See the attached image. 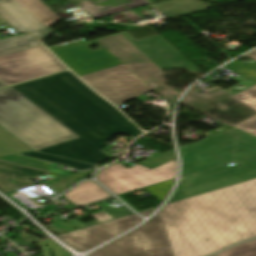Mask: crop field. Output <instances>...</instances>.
I'll list each match as a JSON object with an SVG mask.
<instances>
[{
	"instance_id": "1",
	"label": "crop field",
	"mask_w": 256,
	"mask_h": 256,
	"mask_svg": "<svg viewBox=\"0 0 256 256\" xmlns=\"http://www.w3.org/2000/svg\"><path fill=\"white\" fill-rule=\"evenodd\" d=\"M256 237V179L165 205L88 256H205Z\"/></svg>"
},
{
	"instance_id": "2",
	"label": "crop field",
	"mask_w": 256,
	"mask_h": 256,
	"mask_svg": "<svg viewBox=\"0 0 256 256\" xmlns=\"http://www.w3.org/2000/svg\"><path fill=\"white\" fill-rule=\"evenodd\" d=\"M16 91L79 136L37 151L99 164L110 158L100 149L117 133L141 131L69 71L12 86Z\"/></svg>"
},
{
	"instance_id": "3",
	"label": "crop field",
	"mask_w": 256,
	"mask_h": 256,
	"mask_svg": "<svg viewBox=\"0 0 256 256\" xmlns=\"http://www.w3.org/2000/svg\"><path fill=\"white\" fill-rule=\"evenodd\" d=\"M0 126L34 150L78 137L11 87L0 90Z\"/></svg>"
},
{
	"instance_id": "4",
	"label": "crop field",
	"mask_w": 256,
	"mask_h": 256,
	"mask_svg": "<svg viewBox=\"0 0 256 256\" xmlns=\"http://www.w3.org/2000/svg\"><path fill=\"white\" fill-rule=\"evenodd\" d=\"M179 150L185 175L256 154V137L231 127Z\"/></svg>"
},
{
	"instance_id": "5",
	"label": "crop field",
	"mask_w": 256,
	"mask_h": 256,
	"mask_svg": "<svg viewBox=\"0 0 256 256\" xmlns=\"http://www.w3.org/2000/svg\"><path fill=\"white\" fill-rule=\"evenodd\" d=\"M239 165H226L189 175L179 181L168 203L188 198L207 191L256 178V155L237 160Z\"/></svg>"
},
{
	"instance_id": "6",
	"label": "crop field",
	"mask_w": 256,
	"mask_h": 256,
	"mask_svg": "<svg viewBox=\"0 0 256 256\" xmlns=\"http://www.w3.org/2000/svg\"><path fill=\"white\" fill-rule=\"evenodd\" d=\"M45 49L39 46L0 56V80L9 85L65 70Z\"/></svg>"
},
{
	"instance_id": "7",
	"label": "crop field",
	"mask_w": 256,
	"mask_h": 256,
	"mask_svg": "<svg viewBox=\"0 0 256 256\" xmlns=\"http://www.w3.org/2000/svg\"><path fill=\"white\" fill-rule=\"evenodd\" d=\"M80 78L115 106L151 91L124 64Z\"/></svg>"
},
{
	"instance_id": "8",
	"label": "crop field",
	"mask_w": 256,
	"mask_h": 256,
	"mask_svg": "<svg viewBox=\"0 0 256 256\" xmlns=\"http://www.w3.org/2000/svg\"><path fill=\"white\" fill-rule=\"evenodd\" d=\"M176 175V160H172L153 170L139 164L127 169L120 163H115L102 171L96 177L116 195L148 186L160 181L174 178Z\"/></svg>"
},
{
	"instance_id": "9",
	"label": "crop field",
	"mask_w": 256,
	"mask_h": 256,
	"mask_svg": "<svg viewBox=\"0 0 256 256\" xmlns=\"http://www.w3.org/2000/svg\"><path fill=\"white\" fill-rule=\"evenodd\" d=\"M140 221L139 217L132 214L57 237L77 251H85L135 226Z\"/></svg>"
},
{
	"instance_id": "10",
	"label": "crop field",
	"mask_w": 256,
	"mask_h": 256,
	"mask_svg": "<svg viewBox=\"0 0 256 256\" xmlns=\"http://www.w3.org/2000/svg\"><path fill=\"white\" fill-rule=\"evenodd\" d=\"M121 34L162 70L186 69L191 74L199 72L159 35L136 42L128 33Z\"/></svg>"
},
{
	"instance_id": "11",
	"label": "crop field",
	"mask_w": 256,
	"mask_h": 256,
	"mask_svg": "<svg viewBox=\"0 0 256 256\" xmlns=\"http://www.w3.org/2000/svg\"><path fill=\"white\" fill-rule=\"evenodd\" d=\"M0 16L17 32H30L39 40L51 33L15 0H0Z\"/></svg>"
},
{
	"instance_id": "12",
	"label": "crop field",
	"mask_w": 256,
	"mask_h": 256,
	"mask_svg": "<svg viewBox=\"0 0 256 256\" xmlns=\"http://www.w3.org/2000/svg\"><path fill=\"white\" fill-rule=\"evenodd\" d=\"M49 172L0 160V189L4 192L33 185L28 180Z\"/></svg>"
},
{
	"instance_id": "13",
	"label": "crop field",
	"mask_w": 256,
	"mask_h": 256,
	"mask_svg": "<svg viewBox=\"0 0 256 256\" xmlns=\"http://www.w3.org/2000/svg\"><path fill=\"white\" fill-rule=\"evenodd\" d=\"M123 63L151 62L120 33L96 39Z\"/></svg>"
},
{
	"instance_id": "14",
	"label": "crop field",
	"mask_w": 256,
	"mask_h": 256,
	"mask_svg": "<svg viewBox=\"0 0 256 256\" xmlns=\"http://www.w3.org/2000/svg\"><path fill=\"white\" fill-rule=\"evenodd\" d=\"M63 196L68 201L79 206L110 197L111 195L104 191L102 188H100L96 183L88 181L81 183Z\"/></svg>"
},
{
	"instance_id": "15",
	"label": "crop field",
	"mask_w": 256,
	"mask_h": 256,
	"mask_svg": "<svg viewBox=\"0 0 256 256\" xmlns=\"http://www.w3.org/2000/svg\"><path fill=\"white\" fill-rule=\"evenodd\" d=\"M33 16H35L47 28L60 18L57 17L48 7L40 0H17Z\"/></svg>"
},
{
	"instance_id": "16",
	"label": "crop field",
	"mask_w": 256,
	"mask_h": 256,
	"mask_svg": "<svg viewBox=\"0 0 256 256\" xmlns=\"http://www.w3.org/2000/svg\"><path fill=\"white\" fill-rule=\"evenodd\" d=\"M233 97L256 109V85L234 95ZM234 127L256 136V116Z\"/></svg>"
},
{
	"instance_id": "17",
	"label": "crop field",
	"mask_w": 256,
	"mask_h": 256,
	"mask_svg": "<svg viewBox=\"0 0 256 256\" xmlns=\"http://www.w3.org/2000/svg\"><path fill=\"white\" fill-rule=\"evenodd\" d=\"M21 39H24L30 43L21 45L20 44ZM39 45L40 44L33 38L32 35L24 34L16 37L12 35V36L0 39V55L39 46Z\"/></svg>"
},
{
	"instance_id": "18",
	"label": "crop field",
	"mask_w": 256,
	"mask_h": 256,
	"mask_svg": "<svg viewBox=\"0 0 256 256\" xmlns=\"http://www.w3.org/2000/svg\"><path fill=\"white\" fill-rule=\"evenodd\" d=\"M0 159L25 165V166H29V167H33V168H37V169H41V170H45V171H49V172L62 174V172L58 171L54 167L55 165L54 163H50V162H46V161H42V160L30 158V157L18 155V154L2 156L0 157Z\"/></svg>"
},
{
	"instance_id": "19",
	"label": "crop field",
	"mask_w": 256,
	"mask_h": 256,
	"mask_svg": "<svg viewBox=\"0 0 256 256\" xmlns=\"http://www.w3.org/2000/svg\"><path fill=\"white\" fill-rule=\"evenodd\" d=\"M30 151L32 150L0 128V156Z\"/></svg>"
},
{
	"instance_id": "20",
	"label": "crop field",
	"mask_w": 256,
	"mask_h": 256,
	"mask_svg": "<svg viewBox=\"0 0 256 256\" xmlns=\"http://www.w3.org/2000/svg\"><path fill=\"white\" fill-rule=\"evenodd\" d=\"M130 68L139 78L147 83L156 73L161 71L153 63H138V64H125Z\"/></svg>"
},
{
	"instance_id": "21",
	"label": "crop field",
	"mask_w": 256,
	"mask_h": 256,
	"mask_svg": "<svg viewBox=\"0 0 256 256\" xmlns=\"http://www.w3.org/2000/svg\"><path fill=\"white\" fill-rule=\"evenodd\" d=\"M216 256H256V240L242 243L226 251L215 254Z\"/></svg>"
},
{
	"instance_id": "22",
	"label": "crop field",
	"mask_w": 256,
	"mask_h": 256,
	"mask_svg": "<svg viewBox=\"0 0 256 256\" xmlns=\"http://www.w3.org/2000/svg\"><path fill=\"white\" fill-rule=\"evenodd\" d=\"M22 155H26V156H30V157H34V158H38V159L66 165V166H70V167H74V168H78V169H82V170H87L89 168L94 167L93 165L84 164V163L71 161V160H67V159H62V158H58V157H53V156L40 154V153H36V152L22 153Z\"/></svg>"
},
{
	"instance_id": "23",
	"label": "crop field",
	"mask_w": 256,
	"mask_h": 256,
	"mask_svg": "<svg viewBox=\"0 0 256 256\" xmlns=\"http://www.w3.org/2000/svg\"><path fill=\"white\" fill-rule=\"evenodd\" d=\"M93 171L94 170L85 171V172L74 174V175L67 176L64 178L48 181L46 183L51 188H53L57 193H60L63 190H65L66 188H68L69 186H71L72 184H74L75 182H77L79 178H83Z\"/></svg>"
},
{
	"instance_id": "24",
	"label": "crop field",
	"mask_w": 256,
	"mask_h": 256,
	"mask_svg": "<svg viewBox=\"0 0 256 256\" xmlns=\"http://www.w3.org/2000/svg\"><path fill=\"white\" fill-rule=\"evenodd\" d=\"M173 181L150 186L146 188L152 195H154L158 200L161 202L166 197V195L169 193L171 185Z\"/></svg>"
},
{
	"instance_id": "25",
	"label": "crop field",
	"mask_w": 256,
	"mask_h": 256,
	"mask_svg": "<svg viewBox=\"0 0 256 256\" xmlns=\"http://www.w3.org/2000/svg\"><path fill=\"white\" fill-rule=\"evenodd\" d=\"M157 208V207H156ZM156 208L153 209H149L143 212H139V214L143 215V216H148L151 212H153Z\"/></svg>"
},
{
	"instance_id": "26",
	"label": "crop field",
	"mask_w": 256,
	"mask_h": 256,
	"mask_svg": "<svg viewBox=\"0 0 256 256\" xmlns=\"http://www.w3.org/2000/svg\"><path fill=\"white\" fill-rule=\"evenodd\" d=\"M80 40H83V39H78V40H74V41L67 42V43H64V44H60V45H56V46H53V47H49V49L55 48V47H58V46H62V45H65V44L73 43V42H76V41H80Z\"/></svg>"
},
{
	"instance_id": "27",
	"label": "crop field",
	"mask_w": 256,
	"mask_h": 256,
	"mask_svg": "<svg viewBox=\"0 0 256 256\" xmlns=\"http://www.w3.org/2000/svg\"><path fill=\"white\" fill-rule=\"evenodd\" d=\"M249 57H251L252 59L256 60V51H253L249 54H247Z\"/></svg>"
},
{
	"instance_id": "28",
	"label": "crop field",
	"mask_w": 256,
	"mask_h": 256,
	"mask_svg": "<svg viewBox=\"0 0 256 256\" xmlns=\"http://www.w3.org/2000/svg\"><path fill=\"white\" fill-rule=\"evenodd\" d=\"M1 86H5V84H4L3 82H1V81H0V87H1Z\"/></svg>"
},
{
	"instance_id": "29",
	"label": "crop field",
	"mask_w": 256,
	"mask_h": 256,
	"mask_svg": "<svg viewBox=\"0 0 256 256\" xmlns=\"http://www.w3.org/2000/svg\"><path fill=\"white\" fill-rule=\"evenodd\" d=\"M212 256H214V255H212Z\"/></svg>"
}]
</instances>
